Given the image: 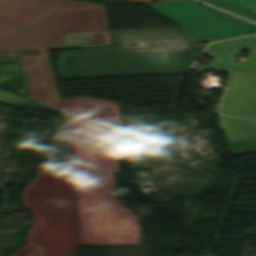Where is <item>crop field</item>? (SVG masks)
I'll return each mask as SVG.
<instances>
[{"label":"crop field","mask_w":256,"mask_h":256,"mask_svg":"<svg viewBox=\"0 0 256 256\" xmlns=\"http://www.w3.org/2000/svg\"><path fill=\"white\" fill-rule=\"evenodd\" d=\"M112 33L115 49L62 52L60 77L184 73L205 45H198L199 41L182 27ZM129 42H138V45L130 46Z\"/></svg>","instance_id":"crop-field-1"},{"label":"crop field","mask_w":256,"mask_h":256,"mask_svg":"<svg viewBox=\"0 0 256 256\" xmlns=\"http://www.w3.org/2000/svg\"><path fill=\"white\" fill-rule=\"evenodd\" d=\"M243 49L250 50V55L235 62ZM204 53L215 60L203 66L195 64L192 70L229 71L220 113L256 119V35L209 44Z\"/></svg>","instance_id":"crop-field-2"},{"label":"crop field","mask_w":256,"mask_h":256,"mask_svg":"<svg viewBox=\"0 0 256 256\" xmlns=\"http://www.w3.org/2000/svg\"><path fill=\"white\" fill-rule=\"evenodd\" d=\"M197 3L196 0H190L147 5L185 27L187 33L201 42L248 34L209 10L196 5Z\"/></svg>","instance_id":"crop-field-3"},{"label":"crop field","mask_w":256,"mask_h":256,"mask_svg":"<svg viewBox=\"0 0 256 256\" xmlns=\"http://www.w3.org/2000/svg\"><path fill=\"white\" fill-rule=\"evenodd\" d=\"M112 45L108 31L64 33L61 48Z\"/></svg>","instance_id":"crop-field-4"},{"label":"crop field","mask_w":256,"mask_h":256,"mask_svg":"<svg viewBox=\"0 0 256 256\" xmlns=\"http://www.w3.org/2000/svg\"><path fill=\"white\" fill-rule=\"evenodd\" d=\"M221 130L226 132L227 141L233 142L256 135V122L218 116Z\"/></svg>","instance_id":"crop-field-5"},{"label":"crop field","mask_w":256,"mask_h":256,"mask_svg":"<svg viewBox=\"0 0 256 256\" xmlns=\"http://www.w3.org/2000/svg\"><path fill=\"white\" fill-rule=\"evenodd\" d=\"M203 1L256 22V13L250 10L244 9L242 7H239L237 5H234L224 0H203Z\"/></svg>","instance_id":"crop-field-6"},{"label":"crop field","mask_w":256,"mask_h":256,"mask_svg":"<svg viewBox=\"0 0 256 256\" xmlns=\"http://www.w3.org/2000/svg\"><path fill=\"white\" fill-rule=\"evenodd\" d=\"M202 5L205 8L209 9L210 11L216 13L217 15L221 16L222 18H224V19L228 20L229 22L233 23L234 25L238 26L239 28L245 30L246 32H248L250 34L256 33V25L255 24H252L248 21L237 18V17L232 16L230 14L224 13L222 11L214 9L210 6L205 5V4H202Z\"/></svg>","instance_id":"crop-field-7"},{"label":"crop field","mask_w":256,"mask_h":256,"mask_svg":"<svg viewBox=\"0 0 256 256\" xmlns=\"http://www.w3.org/2000/svg\"><path fill=\"white\" fill-rule=\"evenodd\" d=\"M233 154L256 151V136L228 144Z\"/></svg>","instance_id":"crop-field-8"},{"label":"crop field","mask_w":256,"mask_h":256,"mask_svg":"<svg viewBox=\"0 0 256 256\" xmlns=\"http://www.w3.org/2000/svg\"><path fill=\"white\" fill-rule=\"evenodd\" d=\"M227 1L256 12V0H227Z\"/></svg>","instance_id":"crop-field-9"},{"label":"crop field","mask_w":256,"mask_h":256,"mask_svg":"<svg viewBox=\"0 0 256 256\" xmlns=\"http://www.w3.org/2000/svg\"><path fill=\"white\" fill-rule=\"evenodd\" d=\"M125 1H128L130 3H135V2H149L151 0H125Z\"/></svg>","instance_id":"crop-field-10"},{"label":"crop field","mask_w":256,"mask_h":256,"mask_svg":"<svg viewBox=\"0 0 256 256\" xmlns=\"http://www.w3.org/2000/svg\"><path fill=\"white\" fill-rule=\"evenodd\" d=\"M157 1H166V0H157Z\"/></svg>","instance_id":"crop-field-11"}]
</instances>
